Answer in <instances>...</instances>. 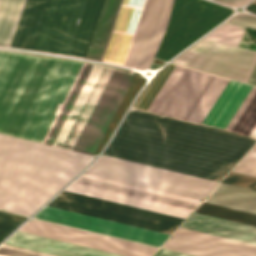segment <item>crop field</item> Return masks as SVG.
<instances>
[{"mask_svg": "<svg viewBox=\"0 0 256 256\" xmlns=\"http://www.w3.org/2000/svg\"><path fill=\"white\" fill-rule=\"evenodd\" d=\"M255 142L221 129L130 109L103 154L220 182Z\"/></svg>", "mask_w": 256, "mask_h": 256, "instance_id": "obj_1", "label": "crop field"}, {"mask_svg": "<svg viewBox=\"0 0 256 256\" xmlns=\"http://www.w3.org/2000/svg\"><path fill=\"white\" fill-rule=\"evenodd\" d=\"M86 65L0 52V132L47 143Z\"/></svg>", "mask_w": 256, "mask_h": 256, "instance_id": "obj_2", "label": "crop field"}, {"mask_svg": "<svg viewBox=\"0 0 256 256\" xmlns=\"http://www.w3.org/2000/svg\"><path fill=\"white\" fill-rule=\"evenodd\" d=\"M95 158L0 134V210L31 216Z\"/></svg>", "mask_w": 256, "mask_h": 256, "instance_id": "obj_3", "label": "crop field"}, {"mask_svg": "<svg viewBox=\"0 0 256 256\" xmlns=\"http://www.w3.org/2000/svg\"><path fill=\"white\" fill-rule=\"evenodd\" d=\"M28 0H0V44L13 45ZM103 0H29L13 46L84 56Z\"/></svg>", "mask_w": 256, "mask_h": 256, "instance_id": "obj_4", "label": "crop field"}, {"mask_svg": "<svg viewBox=\"0 0 256 256\" xmlns=\"http://www.w3.org/2000/svg\"><path fill=\"white\" fill-rule=\"evenodd\" d=\"M132 78L89 63L48 143L94 154Z\"/></svg>", "mask_w": 256, "mask_h": 256, "instance_id": "obj_5", "label": "crop field"}, {"mask_svg": "<svg viewBox=\"0 0 256 256\" xmlns=\"http://www.w3.org/2000/svg\"><path fill=\"white\" fill-rule=\"evenodd\" d=\"M228 82L176 65L148 111L201 124Z\"/></svg>", "mask_w": 256, "mask_h": 256, "instance_id": "obj_6", "label": "crop field"}, {"mask_svg": "<svg viewBox=\"0 0 256 256\" xmlns=\"http://www.w3.org/2000/svg\"><path fill=\"white\" fill-rule=\"evenodd\" d=\"M84 172L199 200L217 184L104 155Z\"/></svg>", "mask_w": 256, "mask_h": 256, "instance_id": "obj_7", "label": "crop field"}, {"mask_svg": "<svg viewBox=\"0 0 256 256\" xmlns=\"http://www.w3.org/2000/svg\"><path fill=\"white\" fill-rule=\"evenodd\" d=\"M66 191L186 218L199 200L83 174Z\"/></svg>", "mask_w": 256, "mask_h": 256, "instance_id": "obj_8", "label": "crop field"}, {"mask_svg": "<svg viewBox=\"0 0 256 256\" xmlns=\"http://www.w3.org/2000/svg\"><path fill=\"white\" fill-rule=\"evenodd\" d=\"M47 205L171 234L183 218L63 191Z\"/></svg>", "mask_w": 256, "mask_h": 256, "instance_id": "obj_9", "label": "crop field"}, {"mask_svg": "<svg viewBox=\"0 0 256 256\" xmlns=\"http://www.w3.org/2000/svg\"><path fill=\"white\" fill-rule=\"evenodd\" d=\"M172 62L247 83L256 52L204 38Z\"/></svg>", "mask_w": 256, "mask_h": 256, "instance_id": "obj_10", "label": "crop field"}, {"mask_svg": "<svg viewBox=\"0 0 256 256\" xmlns=\"http://www.w3.org/2000/svg\"><path fill=\"white\" fill-rule=\"evenodd\" d=\"M173 0H146L125 64L150 67L167 27Z\"/></svg>", "mask_w": 256, "mask_h": 256, "instance_id": "obj_11", "label": "crop field"}, {"mask_svg": "<svg viewBox=\"0 0 256 256\" xmlns=\"http://www.w3.org/2000/svg\"><path fill=\"white\" fill-rule=\"evenodd\" d=\"M19 230L124 256H151L157 250L156 248L35 219H30Z\"/></svg>", "mask_w": 256, "mask_h": 256, "instance_id": "obj_12", "label": "crop field"}, {"mask_svg": "<svg viewBox=\"0 0 256 256\" xmlns=\"http://www.w3.org/2000/svg\"><path fill=\"white\" fill-rule=\"evenodd\" d=\"M36 218L159 247L168 234L46 207Z\"/></svg>", "mask_w": 256, "mask_h": 256, "instance_id": "obj_13", "label": "crop field"}, {"mask_svg": "<svg viewBox=\"0 0 256 256\" xmlns=\"http://www.w3.org/2000/svg\"><path fill=\"white\" fill-rule=\"evenodd\" d=\"M196 211L256 226V191L220 183Z\"/></svg>", "mask_w": 256, "mask_h": 256, "instance_id": "obj_14", "label": "crop field"}, {"mask_svg": "<svg viewBox=\"0 0 256 256\" xmlns=\"http://www.w3.org/2000/svg\"><path fill=\"white\" fill-rule=\"evenodd\" d=\"M163 248L196 256H256V246L179 228Z\"/></svg>", "mask_w": 256, "mask_h": 256, "instance_id": "obj_15", "label": "crop field"}, {"mask_svg": "<svg viewBox=\"0 0 256 256\" xmlns=\"http://www.w3.org/2000/svg\"><path fill=\"white\" fill-rule=\"evenodd\" d=\"M4 243L56 256H119L19 231Z\"/></svg>", "mask_w": 256, "mask_h": 256, "instance_id": "obj_16", "label": "crop field"}, {"mask_svg": "<svg viewBox=\"0 0 256 256\" xmlns=\"http://www.w3.org/2000/svg\"><path fill=\"white\" fill-rule=\"evenodd\" d=\"M251 89L252 86L230 80L203 123L225 129Z\"/></svg>", "mask_w": 256, "mask_h": 256, "instance_id": "obj_17", "label": "crop field"}, {"mask_svg": "<svg viewBox=\"0 0 256 256\" xmlns=\"http://www.w3.org/2000/svg\"><path fill=\"white\" fill-rule=\"evenodd\" d=\"M137 22L136 20L116 17L101 60L124 64Z\"/></svg>", "mask_w": 256, "mask_h": 256, "instance_id": "obj_18", "label": "crop field"}, {"mask_svg": "<svg viewBox=\"0 0 256 256\" xmlns=\"http://www.w3.org/2000/svg\"><path fill=\"white\" fill-rule=\"evenodd\" d=\"M120 1L121 0H104L86 54L87 58L101 59Z\"/></svg>", "mask_w": 256, "mask_h": 256, "instance_id": "obj_19", "label": "crop field"}, {"mask_svg": "<svg viewBox=\"0 0 256 256\" xmlns=\"http://www.w3.org/2000/svg\"><path fill=\"white\" fill-rule=\"evenodd\" d=\"M227 130L256 137V88L253 87L228 126Z\"/></svg>", "mask_w": 256, "mask_h": 256, "instance_id": "obj_20", "label": "crop field"}, {"mask_svg": "<svg viewBox=\"0 0 256 256\" xmlns=\"http://www.w3.org/2000/svg\"><path fill=\"white\" fill-rule=\"evenodd\" d=\"M169 65V64H168ZM167 65V66H168ZM166 66V67H167ZM165 67V68H166ZM175 67V65H173V64H170L165 70H163L156 78H155V80L149 85V87H148V85L144 88V90L146 89V91L144 92V90L140 93V95H139V97L141 96V94H142V96L140 97V99H139V97H138V99H139V101L137 102V100H136V102H137V104H136V102H135V107H137V108H141V109H145V110H147V108L149 107V105L151 104V102L153 101V99H154V97L156 96V94L158 93V91L160 90V88L162 87V85L164 84V82L166 81V79L168 78V76H169V74L171 73V71L173 70V68ZM134 107V106H133Z\"/></svg>", "mask_w": 256, "mask_h": 256, "instance_id": "obj_21", "label": "crop field"}, {"mask_svg": "<svg viewBox=\"0 0 256 256\" xmlns=\"http://www.w3.org/2000/svg\"><path fill=\"white\" fill-rule=\"evenodd\" d=\"M27 219L0 211V238L4 239Z\"/></svg>", "mask_w": 256, "mask_h": 256, "instance_id": "obj_22", "label": "crop field"}, {"mask_svg": "<svg viewBox=\"0 0 256 256\" xmlns=\"http://www.w3.org/2000/svg\"><path fill=\"white\" fill-rule=\"evenodd\" d=\"M144 3L145 0H122L117 16L138 20Z\"/></svg>", "mask_w": 256, "mask_h": 256, "instance_id": "obj_23", "label": "crop field"}, {"mask_svg": "<svg viewBox=\"0 0 256 256\" xmlns=\"http://www.w3.org/2000/svg\"><path fill=\"white\" fill-rule=\"evenodd\" d=\"M233 171L256 177V145L239 162Z\"/></svg>", "mask_w": 256, "mask_h": 256, "instance_id": "obj_24", "label": "crop field"}, {"mask_svg": "<svg viewBox=\"0 0 256 256\" xmlns=\"http://www.w3.org/2000/svg\"><path fill=\"white\" fill-rule=\"evenodd\" d=\"M222 182L256 190V178L247 175L231 172Z\"/></svg>", "mask_w": 256, "mask_h": 256, "instance_id": "obj_25", "label": "crop field"}, {"mask_svg": "<svg viewBox=\"0 0 256 256\" xmlns=\"http://www.w3.org/2000/svg\"><path fill=\"white\" fill-rule=\"evenodd\" d=\"M0 256H51V255L3 244L0 247Z\"/></svg>", "mask_w": 256, "mask_h": 256, "instance_id": "obj_26", "label": "crop field"}, {"mask_svg": "<svg viewBox=\"0 0 256 256\" xmlns=\"http://www.w3.org/2000/svg\"><path fill=\"white\" fill-rule=\"evenodd\" d=\"M227 22L256 30V17L248 14H238L230 18Z\"/></svg>", "mask_w": 256, "mask_h": 256, "instance_id": "obj_27", "label": "crop field"}, {"mask_svg": "<svg viewBox=\"0 0 256 256\" xmlns=\"http://www.w3.org/2000/svg\"><path fill=\"white\" fill-rule=\"evenodd\" d=\"M251 44H253V43L250 41L247 33L245 32V34H244V36H243L239 46L240 47H244V48H249L251 46ZM248 83L256 85V67H255V69L253 71V74H252V76H251V78H250Z\"/></svg>", "mask_w": 256, "mask_h": 256, "instance_id": "obj_28", "label": "crop field"}, {"mask_svg": "<svg viewBox=\"0 0 256 256\" xmlns=\"http://www.w3.org/2000/svg\"><path fill=\"white\" fill-rule=\"evenodd\" d=\"M214 1H218V2L228 4V5H232V6H238V5H243L248 0H214Z\"/></svg>", "mask_w": 256, "mask_h": 256, "instance_id": "obj_29", "label": "crop field"}, {"mask_svg": "<svg viewBox=\"0 0 256 256\" xmlns=\"http://www.w3.org/2000/svg\"><path fill=\"white\" fill-rule=\"evenodd\" d=\"M155 256H188L180 253H175L167 250L160 249Z\"/></svg>", "mask_w": 256, "mask_h": 256, "instance_id": "obj_30", "label": "crop field"}, {"mask_svg": "<svg viewBox=\"0 0 256 256\" xmlns=\"http://www.w3.org/2000/svg\"><path fill=\"white\" fill-rule=\"evenodd\" d=\"M248 11L256 13V1H254L252 4H250L249 6H247L246 8Z\"/></svg>", "mask_w": 256, "mask_h": 256, "instance_id": "obj_31", "label": "crop field"}, {"mask_svg": "<svg viewBox=\"0 0 256 256\" xmlns=\"http://www.w3.org/2000/svg\"><path fill=\"white\" fill-rule=\"evenodd\" d=\"M2 240L0 239V242H1Z\"/></svg>", "mask_w": 256, "mask_h": 256, "instance_id": "obj_32", "label": "crop field"}]
</instances>
